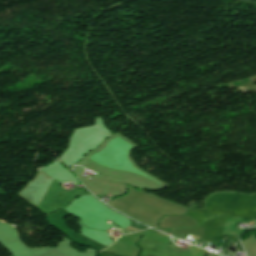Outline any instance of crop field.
I'll list each match as a JSON object with an SVG mask.
<instances>
[{"label": "crop field", "mask_w": 256, "mask_h": 256, "mask_svg": "<svg viewBox=\"0 0 256 256\" xmlns=\"http://www.w3.org/2000/svg\"><path fill=\"white\" fill-rule=\"evenodd\" d=\"M132 227V226H131ZM127 230V229H126ZM132 231V230H131Z\"/></svg>", "instance_id": "obj_1"}]
</instances>
